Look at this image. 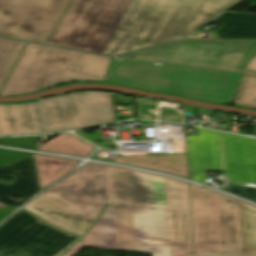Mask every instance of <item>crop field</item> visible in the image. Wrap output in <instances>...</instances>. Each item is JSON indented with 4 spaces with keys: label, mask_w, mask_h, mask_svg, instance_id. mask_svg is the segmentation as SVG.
<instances>
[{
    "label": "crop field",
    "mask_w": 256,
    "mask_h": 256,
    "mask_svg": "<svg viewBox=\"0 0 256 256\" xmlns=\"http://www.w3.org/2000/svg\"><path fill=\"white\" fill-rule=\"evenodd\" d=\"M105 203L89 231L58 256H72L84 246L151 256L193 253L189 184L176 179L87 163L21 209L80 236Z\"/></svg>",
    "instance_id": "crop-field-1"
},
{
    "label": "crop field",
    "mask_w": 256,
    "mask_h": 256,
    "mask_svg": "<svg viewBox=\"0 0 256 256\" xmlns=\"http://www.w3.org/2000/svg\"><path fill=\"white\" fill-rule=\"evenodd\" d=\"M241 0H135L103 54L176 40Z\"/></svg>",
    "instance_id": "crop-field-2"
},
{
    "label": "crop field",
    "mask_w": 256,
    "mask_h": 256,
    "mask_svg": "<svg viewBox=\"0 0 256 256\" xmlns=\"http://www.w3.org/2000/svg\"><path fill=\"white\" fill-rule=\"evenodd\" d=\"M50 133L116 121L107 92H75L33 102L0 104V136Z\"/></svg>",
    "instance_id": "crop-field-3"
},
{
    "label": "crop field",
    "mask_w": 256,
    "mask_h": 256,
    "mask_svg": "<svg viewBox=\"0 0 256 256\" xmlns=\"http://www.w3.org/2000/svg\"><path fill=\"white\" fill-rule=\"evenodd\" d=\"M113 58L104 82L229 105L241 73Z\"/></svg>",
    "instance_id": "crop-field-4"
},
{
    "label": "crop field",
    "mask_w": 256,
    "mask_h": 256,
    "mask_svg": "<svg viewBox=\"0 0 256 256\" xmlns=\"http://www.w3.org/2000/svg\"><path fill=\"white\" fill-rule=\"evenodd\" d=\"M194 253H256V207L190 184Z\"/></svg>",
    "instance_id": "crop-field-5"
},
{
    "label": "crop field",
    "mask_w": 256,
    "mask_h": 256,
    "mask_svg": "<svg viewBox=\"0 0 256 256\" xmlns=\"http://www.w3.org/2000/svg\"><path fill=\"white\" fill-rule=\"evenodd\" d=\"M108 61V57L26 43L0 95L32 93L65 81L102 79Z\"/></svg>",
    "instance_id": "crop-field-6"
},
{
    "label": "crop field",
    "mask_w": 256,
    "mask_h": 256,
    "mask_svg": "<svg viewBox=\"0 0 256 256\" xmlns=\"http://www.w3.org/2000/svg\"><path fill=\"white\" fill-rule=\"evenodd\" d=\"M134 0H72L46 44L102 54Z\"/></svg>",
    "instance_id": "crop-field-7"
},
{
    "label": "crop field",
    "mask_w": 256,
    "mask_h": 256,
    "mask_svg": "<svg viewBox=\"0 0 256 256\" xmlns=\"http://www.w3.org/2000/svg\"><path fill=\"white\" fill-rule=\"evenodd\" d=\"M255 51L256 40H182L120 57L241 72Z\"/></svg>",
    "instance_id": "crop-field-8"
},
{
    "label": "crop field",
    "mask_w": 256,
    "mask_h": 256,
    "mask_svg": "<svg viewBox=\"0 0 256 256\" xmlns=\"http://www.w3.org/2000/svg\"><path fill=\"white\" fill-rule=\"evenodd\" d=\"M69 0H0V36L43 44Z\"/></svg>",
    "instance_id": "crop-field-9"
},
{
    "label": "crop field",
    "mask_w": 256,
    "mask_h": 256,
    "mask_svg": "<svg viewBox=\"0 0 256 256\" xmlns=\"http://www.w3.org/2000/svg\"><path fill=\"white\" fill-rule=\"evenodd\" d=\"M76 238L19 210L0 226V256H54Z\"/></svg>",
    "instance_id": "crop-field-10"
},
{
    "label": "crop field",
    "mask_w": 256,
    "mask_h": 256,
    "mask_svg": "<svg viewBox=\"0 0 256 256\" xmlns=\"http://www.w3.org/2000/svg\"><path fill=\"white\" fill-rule=\"evenodd\" d=\"M196 136H186L189 180L204 182L205 171H224L220 133L195 128Z\"/></svg>",
    "instance_id": "crop-field-11"
},
{
    "label": "crop field",
    "mask_w": 256,
    "mask_h": 256,
    "mask_svg": "<svg viewBox=\"0 0 256 256\" xmlns=\"http://www.w3.org/2000/svg\"><path fill=\"white\" fill-rule=\"evenodd\" d=\"M222 152L227 178L256 184V139L223 134Z\"/></svg>",
    "instance_id": "crop-field-12"
},
{
    "label": "crop field",
    "mask_w": 256,
    "mask_h": 256,
    "mask_svg": "<svg viewBox=\"0 0 256 256\" xmlns=\"http://www.w3.org/2000/svg\"><path fill=\"white\" fill-rule=\"evenodd\" d=\"M8 175H13L16 179L12 184L0 182L1 203L17 208L39 191L32 156L0 169V181ZM14 194L25 197L20 202H17L10 197V195Z\"/></svg>",
    "instance_id": "crop-field-13"
},
{
    "label": "crop field",
    "mask_w": 256,
    "mask_h": 256,
    "mask_svg": "<svg viewBox=\"0 0 256 256\" xmlns=\"http://www.w3.org/2000/svg\"><path fill=\"white\" fill-rule=\"evenodd\" d=\"M112 162L151 169L188 179L186 154L120 156Z\"/></svg>",
    "instance_id": "crop-field-14"
},
{
    "label": "crop field",
    "mask_w": 256,
    "mask_h": 256,
    "mask_svg": "<svg viewBox=\"0 0 256 256\" xmlns=\"http://www.w3.org/2000/svg\"><path fill=\"white\" fill-rule=\"evenodd\" d=\"M214 22L224 23L216 30L220 39H256V15L226 12Z\"/></svg>",
    "instance_id": "crop-field-15"
},
{
    "label": "crop field",
    "mask_w": 256,
    "mask_h": 256,
    "mask_svg": "<svg viewBox=\"0 0 256 256\" xmlns=\"http://www.w3.org/2000/svg\"><path fill=\"white\" fill-rule=\"evenodd\" d=\"M39 188L42 189L77 166V160L33 154Z\"/></svg>",
    "instance_id": "crop-field-16"
},
{
    "label": "crop field",
    "mask_w": 256,
    "mask_h": 256,
    "mask_svg": "<svg viewBox=\"0 0 256 256\" xmlns=\"http://www.w3.org/2000/svg\"><path fill=\"white\" fill-rule=\"evenodd\" d=\"M94 149L71 134H62L43 144L38 150L87 157Z\"/></svg>",
    "instance_id": "crop-field-17"
},
{
    "label": "crop field",
    "mask_w": 256,
    "mask_h": 256,
    "mask_svg": "<svg viewBox=\"0 0 256 256\" xmlns=\"http://www.w3.org/2000/svg\"><path fill=\"white\" fill-rule=\"evenodd\" d=\"M244 72L256 73V55ZM236 106L256 110V75L244 73L233 103Z\"/></svg>",
    "instance_id": "crop-field-18"
},
{
    "label": "crop field",
    "mask_w": 256,
    "mask_h": 256,
    "mask_svg": "<svg viewBox=\"0 0 256 256\" xmlns=\"http://www.w3.org/2000/svg\"><path fill=\"white\" fill-rule=\"evenodd\" d=\"M25 43L0 38V89Z\"/></svg>",
    "instance_id": "crop-field-19"
},
{
    "label": "crop field",
    "mask_w": 256,
    "mask_h": 256,
    "mask_svg": "<svg viewBox=\"0 0 256 256\" xmlns=\"http://www.w3.org/2000/svg\"><path fill=\"white\" fill-rule=\"evenodd\" d=\"M256 203V188L233 183H224L223 187H215Z\"/></svg>",
    "instance_id": "crop-field-20"
},
{
    "label": "crop field",
    "mask_w": 256,
    "mask_h": 256,
    "mask_svg": "<svg viewBox=\"0 0 256 256\" xmlns=\"http://www.w3.org/2000/svg\"><path fill=\"white\" fill-rule=\"evenodd\" d=\"M0 145L37 150L33 137L0 138Z\"/></svg>",
    "instance_id": "crop-field-21"
},
{
    "label": "crop field",
    "mask_w": 256,
    "mask_h": 256,
    "mask_svg": "<svg viewBox=\"0 0 256 256\" xmlns=\"http://www.w3.org/2000/svg\"><path fill=\"white\" fill-rule=\"evenodd\" d=\"M29 155L31 154L0 149V168Z\"/></svg>",
    "instance_id": "crop-field-22"
},
{
    "label": "crop field",
    "mask_w": 256,
    "mask_h": 256,
    "mask_svg": "<svg viewBox=\"0 0 256 256\" xmlns=\"http://www.w3.org/2000/svg\"><path fill=\"white\" fill-rule=\"evenodd\" d=\"M187 256H256V254H191Z\"/></svg>",
    "instance_id": "crop-field-23"
},
{
    "label": "crop field",
    "mask_w": 256,
    "mask_h": 256,
    "mask_svg": "<svg viewBox=\"0 0 256 256\" xmlns=\"http://www.w3.org/2000/svg\"><path fill=\"white\" fill-rule=\"evenodd\" d=\"M4 206H6V205H2V204H0V208H2V207H4Z\"/></svg>",
    "instance_id": "crop-field-24"
}]
</instances>
